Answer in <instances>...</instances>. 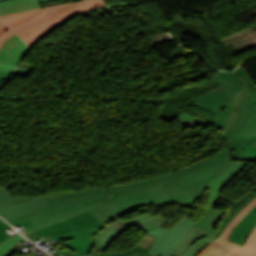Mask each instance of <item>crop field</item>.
<instances>
[{
  "label": "crop field",
  "mask_w": 256,
  "mask_h": 256,
  "mask_svg": "<svg viewBox=\"0 0 256 256\" xmlns=\"http://www.w3.org/2000/svg\"><path fill=\"white\" fill-rule=\"evenodd\" d=\"M25 240L19 234L0 243V256H11L16 253V249L13 247L17 243Z\"/></svg>",
  "instance_id": "15"
},
{
  "label": "crop field",
  "mask_w": 256,
  "mask_h": 256,
  "mask_svg": "<svg viewBox=\"0 0 256 256\" xmlns=\"http://www.w3.org/2000/svg\"><path fill=\"white\" fill-rule=\"evenodd\" d=\"M217 238V236L193 226L174 256H197L211 241Z\"/></svg>",
  "instance_id": "9"
},
{
  "label": "crop field",
  "mask_w": 256,
  "mask_h": 256,
  "mask_svg": "<svg viewBox=\"0 0 256 256\" xmlns=\"http://www.w3.org/2000/svg\"><path fill=\"white\" fill-rule=\"evenodd\" d=\"M256 197V193L251 196L246 202H244L239 208H237L233 214L228 218V220L225 222L223 228L219 231L218 236L221 235V233L223 232L224 228L226 227V225L233 219V217L244 207L246 206L250 201H252L254 198Z\"/></svg>",
  "instance_id": "17"
},
{
  "label": "crop field",
  "mask_w": 256,
  "mask_h": 256,
  "mask_svg": "<svg viewBox=\"0 0 256 256\" xmlns=\"http://www.w3.org/2000/svg\"><path fill=\"white\" fill-rule=\"evenodd\" d=\"M66 222L75 230L73 232L60 234L57 236L46 237L51 240H67L74 238H90L96 235L99 231L103 229L106 225L97 219L93 214L89 211L72 217Z\"/></svg>",
  "instance_id": "8"
},
{
  "label": "crop field",
  "mask_w": 256,
  "mask_h": 256,
  "mask_svg": "<svg viewBox=\"0 0 256 256\" xmlns=\"http://www.w3.org/2000/svg\"><path fill=\"white\" fill-rule=\"evenodd\" d=\"M29 72H31V71H30V70H26V69H22V68L18 67L14 74H18V75H21V76H25V75L28 74Z\"/></svg>",
  "instance_id": "27"
},
{
  "label": "crop field",
  "mask_w": 256,
  "mask_h": 256,
  "mask_svg": "<svg viewBox=\"0 0 256 256\" xmlns=\"http://www.w3.org/2000/svg\"><path fill=\"white\" fill-rule=\"evenodd\" d=\"M164 222H166V220L163 216L153 217L149 213L130 221H121L117 218L107 224L96 236L90 238L96 241V244L90 254L100 253L114 238L131 226H137L143 229L146 233H149Z\"/></svg>",
  "instance_id": "5"
},
{
  "label": "crop field",
  "mask_w": 256,
  "mask_h": 256,
  "mask_svg": "<svg viewBox=\"0 0 256 256\" xmlns=\"http://www.w3.org/2000/svg\"><path fill=\"white\" fill-rule=\"evenodd\" d=\"M7 228H9V226L5 222L0 221V242L5 240V239H7V238H9V237H11V236H13V235H15V234H13L11 236L9 234L5 235L4 233L6 232L5 230Z\"/></svg>",
  "instance_id": "18"
},
{
  "label": "crop field",
  "mask_w": 256,
  "mask_h": 256,
  "mask_svg": "<svg viewBox=\"0 0 256 256\" xmlns=\"http://www.w3.org/2000/svg\"><path fill=\"white\" fill-rule=\"evenodd\" d=\"M230 162V148L207 157L183 170L148 180L99 189L72 192L46 200L51 204L18 217L11 224L31 234L89 210L101 221L143 206L196 197Z\"/></svg>",
  "instance_id": "1"
},
{
  "label": "crop field",
  "mask_w": 256,
  "mask_h": 256,
  "mask_svg": "<svg viewBox=\"0 0 256 256\" xmlns=\"http://www.w3.org/2000/svg\"><path fill=\"white\" fill-rule=\"evenodd\" d=\"M213 71L222 87L192 104L219 114L210 124L223 129L232 159L256 162V86L240 66L233 72Z\"/></svg>",
  "instance_id": "2"
},
{
  "label": "crop field",
  "mask_w": 256,
  "mask_h": 256,
  "mask_svg": "<svg viewBox=\"0 0 256 256\" xmlns=\"http://www.w3.org/2000/svg\"><path fill=\"white\" fill-rule=\"evenodd\" d=\"M255 220H256V206L246 217H244L241 220V222L236 227H234L229 240L235 243H239L244 232Z\"/></svg>",
  "instance_id": "13"
},
{
  "label": "crop field",
  "mask_w": 256,
  "mask_h": 256,
  "mask_svg": "<svg viewBox=\"0 0 256 256\" xmlns=\"http://www.w3.org/2000/svg\"><path fill=\"white\" fill-rule=\"evenodd\" d=\"M1 18L4 19L16 33H18L49 18V16L42 8H39L36 10L2 16Z\"/></svg>",
  "instance_id": "10"
},
{
  "label": "crop field",
  "mask_w": 256,
  "mask_h": 256,
  "mask_svg": "<svg viewBox=\"0 0 256 256\" xmlns=\"http://www.w3.org/2000/svg\"><path fill=\"white\" fill-rule=\"evenodd\" d=\"M0 74H1V75H5V76H8V74H6V73H1V72H0ZM9 75H10V74H9Z\"/></svg>",
  "instance_id": "30"
},
{
  "label": "crop field",
  "mask_w": 256,
  "mask_h": 256,
  "mask_svg": "<svg viewBox=\"0 0 256 256\" xmlns=\"http://www.w3.org/2000/svg\"><path fill=\"white\" fill-rule=\"evenodd\" d=\"M103 7H105V6H103ZM99 8H101V7H99ZM97 9V8H96ZM92 10H94V9H92ZM92 10H89V11H92ZM85 12H88V11H85ZM83 13V12H82ZM80 14V13H79ZM78 15V14H77ZM77 15H75V16H77ZM75 16H73V17H75ZM73 17H71V18H73ZM71 18H69V19H67V20H65L64 22H62L61 24H59L58 26H56L55 28H53L52 30H50L49 32H47L46 34H44L42 37H40L38 40H36L33 44H32V46L30 47L31 49L33 48V46L36 44V43H38L41 39H43L46 35H48L50 32H52V31H54V30H56L58 27H60L63 23H65L66 21H68V20H70Z\"/></svg>",
  "instance_id": "19"
},
{
  "label": "crop field",
  "mask_w": 256,
  "mask_h": 256,
  "mask_svg": "<svg viewBox=\"0 0 256 256\" xmlns=\"http://www.w3.org/2000/svg\"><path fill=\"white\" fill-rule=\"evenodd\" d=\"M15 66L9 65V64H5V63H1L0 62V71L1 72H6V73H10L15 69Z\"/></svg>",
  "instance_id": "20"
},
{
  "label": "crop field",
  "mask_w": 256,
  "mask_h": 256,
  "mask_svg": "<svg viewBox=\"0 0 256 256\" xmlns=\"http://www.w3.org/2000/svg\"><path fill=\"white\" fill-rule=\"evenodd\" d=\"M103 5H105L103 0H84L79 3H70L45 8L44 10L51 18L36 26H33L27 30L18 33V35L30 47V45L37 38L42 36L44 33L49 31L65 19L69 18L70 16Z\"/></svg>",
  "instance_id": "4"
},
{
  "label": "crop field",
  "mask_w": 256,
  "mask_h": 256,
  "mask_svg": "<svg viewBox=\"0 0 256 256\" xmlns=\"http://www.w3.org/2000/svg\"><path fill=\"white\" fill-rule=\"evenodd\" d=\"M72 230L73 229L65 221H63L33 234L45 237V236L56 235V234H60V233L68 232Z\"/></svg>",
  "instance_id": "16"
},
{
  "label": "crop field",
  "mask_w": 256,
  "mask_h": 256,
  "mask_svg": "<svg viewBox=\"0 0 256 256\" xmlns=\"http://www.w3.org/2000/svg\"><path fill=\"white\" fill-rule=\"evenodd\" d=\"M28 50L29 48L15 34L1 45L0 61L17 66Z\"/></svg>",
  "instance_id": "11"
},
{
  "label": "crop field",
  "mask_w": 256,
  "mask_h": 256,
  "mask_svg": "<svg viewBox=\"0 0 256 256\" xmlns=\"http://www.w3.org/2000/svg\"><path fill=\"white\" fill-rule=\"evenodd\" d=\"M148 249L136 246L126 252H131V253H147Z\"/></svg>",
  "instance_id": "23"
},
{
  "label": "crop field",
  "mask_w": 256,
  "mask_h": 256,
  "mask_svg": "<svg viewBox=\"0 0 256 256\" xmlns=\"http://www.w3.org/2000/svg\"><path fill=\"white\" fill-rule=\"evenodd\" d=\"M41 7L36 0H9L0 3V16Z\"/></svg>",
  "instance_id": "12"
},
{
  "label": "crop field",
  "mask_w": 256,
  "mask_h": 256,
  "mask_svg": "<svg viewBox=\"0 0 256 256\" xmlns=\"http://www.w3.org/2000/svg\"><path fill=\"white\" fill-rule=\"evenodd\" d=\"M1 1H4V0H0ZM39 3H43V2H49V1H56V0H37Z\"/></svg>",
  "instance_id": "28"
},
{
  "label": "crop field",
  "mask_w": 256,
  "mask_h": 256,
  "mask_svg": "<svg viewBox=\"0 0 256 256\" xmlns=\"http://www.w3.org/2000/svg\"><path fill=\"white\" fill-rule=\"evenodd\" d=\"M5 78H6L5 76H1V75H0V81L3 80V79H5Z\"/></svg>",
  "instance_id": "29"
},
{
  "label": "crop field",
  "mask_w": 256,
  "mask_h": 256,
  "mask_svg": "<svg viewBox=\"0 0 256 256\" xmlns=\"http://www.w3.org/2000/svg\"><path fill=\"white\" fill-rule=\"evenodd\" d=\"M184 201H185V200H184ZM184 201H175V202H171V203H178V205H181ZM167 204H168V203H167ZM160 205H164V204L151 205V206H148V207H155V206H160ZM148 207H144V208H148ZM144 208H140V209H144ZM136 210H139V209H136ZM133 211H135V210H132V211H129V212L123 213V214H121V215L115 216V217H113V218L109 219L108 221H106L105 223L107 224V223H109L111 220H113L114 218H116V217H120V216H122V215H125V214L130 213V212H133Z\"/></svg>",
  "instance_id": "21"
},
{
  "label": "crop field",
  "mask_w": 256,
  "mask_h": 256,
  "mask_svg": "<svg viewBox=\"0 0 256 256\" xmlns=\"http://www.w3.org/2000/svg\"><path fill=\"white\" fill-rule=\"evenodd\" d=\"M15 32L12 30V29H10V30H8L6 33H4V34H2L1 36H0V45H1V43L4 41V40H6L8 37H10L12 34H14Z\"/></svg>",
  "instance_id": "25"
},
{
  "label": "crop field",
  "mask_w": 256,
  "mask_h": 256,
  "mask_svg": "<svg viewBox=\"0 0 256 256\" xmlns=\"http://www.w3.org/2000/svg\"><path fill=\"white\" fill-rule=\"evenodd\" d=\"M49 205L42 197H15L8 190L0 186V216L8 221L30 211Z\"/></svg>",
  "instance_id": "7"
},
{
  "label": "crop field",
  "mask_w": 256,
  "mask_h": 256,
  "mask_svg": "<svg viewBox=\"0 0 256 256\" xmlns=\"http://www.w3.org/2000/svg\"><path fill=\"white\" fill-rule=\"evenodd\" d=\"M256 226V221L249 227V229L245 232L241 242H240V245H243V243H245L249 233L253 230V228Z\"/></svg>",
  "instance_id": "22"
},
{
  "label": "crop field",
  "mask_w": 256,
  "mask_h": 256,
  "mask_svg": "<svg viewBox=\"0 0 256 256\" xmlns=\"http://www.w3.org/2000/svg\"><path fill=\"white\" fill-rule=\"evenodd\" d=\"M194 223L195 222L187 218H183L173 229H164L161 227L155 229L150 235L154 236L156 239L148 253L173 256Z\"/></svg>",
  "instance_id": "6"
},
{
  "label": "crop field",
  "mask_w": 256,
  "mask_h": 256,
  "mask_svg": "<svg viewBox=\"0 0 256 256\" xmlns=\"http://www.w3.org/2000/svg\"><path fill=\"white\" fill-rule=\"evenodd\" d=\"M8 29L10 27L0 18V35Z\"/></svg>",
  "instance_id": "26"
},
{
  "label": "crop field",
  "mask_w": 256,
  "mask_h": 256,
  "mask_svg": "<svg viewBox=\"0 0 256 256\" xmlns=\"http://www.w3.org/2000/svg\"><path fill=\"white\" fill-rule=\"evenodd\" d=\"M256 205V198L243 208L228 224L223 234L212 242L199 256H256V227L243 247L228 241L232 228Z\"/></svg>",
  "instance_id": "3"
},
{
  "label": "crop field",
  "mask_w": 256,
  "mask_h": 256,
  "mask_svg": "<svg viewBox=\"0 0 256 256\" xmlns=\"http://www.w3.org/2000/svg\"><path fill=\"white\" fill-rule=\"evenodd\" d=\"M60 242L70 246L74 251L81 255L89 254L95 243L94 241H91L89 239H75Z\"/></svg>",
  "instance_id": "14"
},
{
  "label": "crop field",
  "mask_w": 256,
  "mask_h": 256,
  "mask_svg": "<svg viewBox=\"0 0 256 256\" xmlns=\"http://www.w3.org/2000/svg\"><path fill=\"white\" fill-rule=\"evenodd\" d=\"M66 256H77V255L74 254V255H66ZM91 256H130V254H104V255H91ZM132 256H148V255H135V254H132Z\"/></svg>",
  "instance_id": "24"
}]
</instances>
